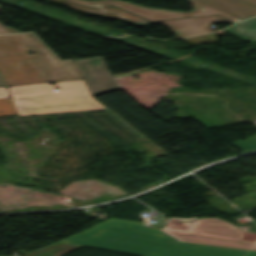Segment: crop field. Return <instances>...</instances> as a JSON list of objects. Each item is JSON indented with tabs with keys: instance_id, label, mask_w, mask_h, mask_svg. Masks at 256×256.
<instances>
[{
	"instance_id": "obj_1",
	"label": "crop field",
	"mask_w": 256,
	"mask_h": 256,
	"mask_svg": "<svg viewBox=\"0 0 256 256\" xmlns=\"http://www.w3.org/2000/svg\"><path fill=\"white\" fill-rule=\"evenodd\" d=\"M142 228V222L108 219L60 243L140 256H256L251 251L186 243L256 250V242L242 240L241 230L220 218L199 219L190 232L170 229L154 232Z\"/></svg>"
},
{
	"instance_id": "obj_2",
	"label": "crop field",
	"mask_w": 256,
	"mask_h": 256,
	"mask_svg": "<svg viewBox=\"0 0 256 256\" xmlns=\"http://www.w3.org/2000/svg\"><path fill=\"white\" fill-rule=\"evenodd\" d=\"M0 72L6 85L83 78L75 60H60L34 33L0 36Z\"/></svg>"
},
{
	"instance_id": "obj_3",
	"label": "crop field",
	"mask_w": 256,
	"mask_h": 256,
	"mask_svg": "<svg viewBox=\"0 0 256 256\" xmlns=\"http://www.w3.org/2000/svg\"><path fill=\"white\" fill-rule=\"evenodd\" d=\"M8 87L17 115L104 108L84 79ZM57 87L59 91L53 92Z\"/></svg>"
},
{
	"instance_id": "obj_4",
	"label": "crop field",
	"mask_w": 256,
	"mask_h": 256,
	"mask_svg": "<svg viewBox=\"0 0 256 256\" xmlns=\"http://www.w3.org/2000/svg\"><path fill=\"white\" fill-rule=\"evenodd\" d=\"M67 1H72L76 3L84 4L90 7H97V8L108 6V5H115L133 14L144 17L150 21L224 13L222 11H219L215 8H212L210 6H207L195 0H189V2L194 7V10L191 13H178L173 11L156 10L151 8L139 7V6L132 5L128 2L119 1V0H100V1L67 0Z\"/></svg>"
},
{
	"instance_id": "obj_5",
	"label": "crop field",
	"mask_w": 256,
	"mask_h": 256,
	"mask_svg": "<svg viewBox=\"0 0 256 256\" xmlns=\"http://www.w3.org/2000/svg\"><path fill=\"white\" fill-rule=\"evenodd\" d=\"M77 64L93 96L119 89L102 58L79 60Z\"/></svg>"
},
{
	"instance_id": "obj_6",
	"label": "crop field",
	"mask_w": 256,
	"mask_h": 256,
	"mask_svg": "<svg viewBox=\"0 0 256 256\" xmlns=\"http://www.w3.org/2000/svg\"><path fill=\"white\" fill-rule=\"evenodd\" d=\"M228 20L232 23L240 20L229 14L191 17L167 21H159L169 27L177 37H186L206 32H211V25L216 22Z\"/></svg>"
},
{
	"instance_id": "obj_7",
	"label": "crop field",
	"mask_w": 256,
	"mask_h": 256,
	"mask_svg": "<svg viewBox=\"0 0 256 256\" xmlns=\"http://www.w3.org/2000/svg\"><path fill=\"white\" fill-rule=\"evenodd\" d=\"M224 12H231L241 18L256 14V0H198Z\"/></svg>"
},
{
	"instance_id": "obj_8",
	"label": "crop field",
	"mask_w": 256,
	"mask_h": 256,
	"mask_svg": "<svg viewBox=\"0 0 256 256\" xmlns=\"http://www.w3.org/2000/svg\"><path fill=\"white\" fill-rule=\"evenodd\" d=\"M52 1L69 5L71 8L79 10L84 13L101 15L104 17L114 18V19L127 20V21H130V22L142 25V26H145L149 23H155V22H148L142 18H139L135 15H132L130 13H127L125 11H122V10L117 9L112 6L101 8V9H92V8H88V7H84V6H80V5H76V4H72V3H67L62 0H52Z\"/></svg>"
},
{
	"instance_id": "obj_9",
	"label": "crop field",
	"mask_w": 256,
	"mask_h": 256,
	"mask_svg": "<svg viewBox=\"0 0 256 256\" xmlns=\"http://www.w3.org/2000/svg\"><path fill=\"white\" fill-rule=\"evenodd\" d=\"M225 30L249 42L256 41V17L243 20Z\"/></svg>"
},
{
	"instance_id": "obj_10",
	"label": "crop field",
	"mask_w": 256,
	"mask_h": 256,
	"mask_svg": "<svg viewBox=\"0 0 256 256\" xmlns=\"http://www.w3.org/2000/svg\"><path fill=\"white\" fill-rule=\"evenodd\" d=\"M77 248H80V246L54 243L52 245L41 248L39 250H36L34 252H31L23 256H60L64 253L75 250ZM11 256H14V255H11Z\"/></svg>"
},
{
	"instance_id": "obj_11",
	"label": "crop field",
	"mask_w": 256,
	"mask_h": 256,
	"mask_svg": "<svg viewBox=\"0 0 256 256\" xmlns=\"http://www.w3.org/2000/svg\"><path fill=\"white\" fill-rule=\"evenodd\" d=\"M16 114L10 98L0 99V115Z\"/></svg>"
},
{
	"instance_id": "obj_12",
	"label": "crop field",
	"mask_w": 256,
	"mask_h": 256,
	"mask_svg": "<svg viewBox=\"0 0 256 256\" xmlns=\"http://www.w3.org/2000/svg\"><path fill=\"white\" fill-rule=\"evenodd\" d=\"M234 145L241 148L245 152L249 151V150L256 149V134L254 136L250 137L249 139H247L245 141H239V142L235 143Z\"/></svg>"
},
{
	"instance_id": "obj_13",
	"label": "crop field",
	"mask_w": 256,
	"mask_h": 256,
	"mask_svg": "<svg viewBox=\"0 0 256 256\" xmlns=\"http://www.w3.org/2000/svg\"><path fill=\"white\" fill-rule=\"evenodd\" d=\"M16 32H18V31L0 24V34L16 33Z\"/></svg>"
},
{
	"instance_id": "obj_14",
	"label": "crop field",
	"mask_w": 256,
	"mask_h": 256,
	"mask_svg": "<svg viewBox=\"0 0 256 256\" xmlns=\"http://www.w3.org/2000/svg\"><path fill=\"white\" fill-rule=\"evenodd\" d=\"M9 97L5 87H0V98Z\"/></svg>"
},
{
	"instance_id": "obj_15",
	"label": "crop field",
	"mask_w": 256,
	"mask_h": 256,
	"mask_svg": "<svg viewBox=\"0 0 256 256\" xmlns=\"http://www.w3.org/2000/svg\"><path fill=\"white\" fill-rule=\"evenodd\" d=\"M143 229H147V230H155V231H159L160 229L157 228H148V227H144Z\"/></svg>"
},
{
	"instance_id": "obj_16",
	"label": "crop field",
	"mask_w": 256,
	"mask_h": 256,
	"mask_svg": "<svg viewBox=\"0 0 256 256\" xmlns=\"http://www.w3.org/2000/svg\"><path fill=\"white\" fill-rule=\"evenodd\" d=\"M2 85H5V84H4V81L2 80V78L0 76V86H2Z\"/></svg>"
}]
</instances>
